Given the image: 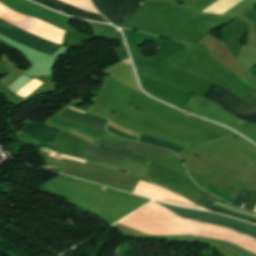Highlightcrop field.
<instances>
[{
  "instance_id": "crop-field-1",
  "label": "crop field",
  "mask_w": 256,
  "mask_h": 256,
  "mask_svg": "<svg viewBox=\"0 0 256 256\" xmlns=\"http://www.w3.org/2000/svg\"><path fill=\"white\" fill-rule=\"evenodd\" d=\"M205 98L228 110L239 118L256 124V109L250 107L227 90L212 84Z\"/></svg>"
},
{
  "instance_id": "crop-field-2",
  "label": "crop field",
  "mask_w": 256,
  "mask_h": 256,
  "mask_svg": "<svg viewBox=\"0 0 256 256\" xmlns=\"http://www.w3.org/2000/svg\"><path fill=\"white\" fill-rule=\"evenodd\" d=\"M0 33L32 49L43 52L50 56H52L54 52L60 47V45L37 38L2 20H0Z\"/></svg>"
},
{
  "instance_id": "crop-field-3",
  "label": "crop field",
  "mask_w": 256,
  "mask_h": 256,
  "mask_svg": "<svg viewBox=\"0 0 256 256\" xmlns=\"http://www.w3.org/2000/svg\"><path fill=\"white\" fill-rule=\"evenodd\" d=\"M124 144L129 145V146H133V147H138V148L150 150V151H153L155 153L162 154V155H165V156H168V155L171 154V152H169L165 149L158 148V147H153V146H148V145H144V144H140V143H136V142H132V141L125 140ZM125 145H121V144H117V143H113V142L101 139L100 148L105 149V150L110 151V152H115V153H119V154H124V155H129V156L144 159V157L147 153L146 150L133 148V147L125 146Z\"/></svg>"
},
{
  "instance_id": "crop-field-4",
  "label": "crop field",
  "mask_w": 256,
  "mask_h": 256,
  "mask_svg": "<svg viewBox=\"0 0 256 256\" xmlns=\"http://www.w3.org/2000/svg\"><path fill=\"white\" fill-rule=\"evenodd\" d=\"M32 1L38 4L50 7L58 12L72 15L74 17L109 23L105 19H103L104 17L102 18L101 15L83 11L81 9L75 8L73 6L65 4L58 0H32Z\"/></svg>"
},
{
  "instance_id": "crop-field-5",
  "label": "crop field",
  "mask_w": 256,
  "mask_h": 256,
  "mask_svg": "<svg viewBox=\"0 0 256 256\" xmlns=\"http://www.w3.org/2000/svg\"><path fill=\"white\" fill-rule=\"evenodd\" d=\"M217 200H218V198H216V197H214V196H212V195H210V194H208L207 192L204 191L194 203L198 204V205H200V206H202V207H204L208 210L211 207V205ZM216 203L221 204L225 207H228L229 209H233L237 212H241V213L256 216V213H252V212H248V211L236 208V207H234L232 205H229V204H227V203H225L221 200H218ZM209 210L212 211V212L226 214V215H229V216H232V217H235V218H238V219L245 220V221L256 224V221L253 220V219H250V218H246V217L239 216V215H236V214H233V213L222 211V210H219V209H216V208H213V207H211Z\"/></svg>"
},
{
  "instance_id": "crop-field-6",
  "label": "crop field",
  "mask_w": 256,
  "mask_h": 256,
  "mask_svg": "<svg viewBox=\"0 0 256 256\" xmlns=\"http://www.w3.org/2000/svg\"><path fill=\"white\" fill-rule=\"evenodd\" d=\"M70 108V107H69ZM67 108L63 113L62 115H65V116H68V117H72V118H75V119H78V120H81V121H84V122H87V123H90V124H94V125H97V126H100V127H103L105 126L107 120L105 119H102V118H99V117H96V116H93V115H90L86 112H84L83 114L79 113V112H76L74 110H71ZM60 115L58 118L62 119V120H66V121H69V122H72V123H76V124H79V125H82V126H86V127H89V128H92V129H95V130H98V131H104L103 128H100V127H97V126H93V125H90V124H87V123H84V122H81V121H78V120H75V119H71V118H68V117H65V116H62ZM57 118V119H58Z\"/></svg>"
},
{
  "instance_id": "crop-field-7",
  "label": "crop field",
  "mask_w": 256,
  "mask_h": 256,
  "mask_svg": "<svg viewBox=\"0 0 256 256\" xmlns=\"http://www.w3.org/2000/svg\"><path fill=\"white\" fill-rule=\"evenodd\" d=\"M20 131L32 137L40 143L54 141L58 130L39 123H32L23 127Z\"/></svg>"
},
{
  "instance_id": "crop-field-8",
  "label": "crop field",
  "mask_w": 256,
  "mask_h": 256,
  "mask_svg": "<svg viewBox=\"0 0 256 256\" xmlns=\"http://www.w3.org/2000/svg\"><path fill=\"white\" fill-rule=\"evenodd\" d=\"M83 153L86 155H90L96 159L111 162V163L122 165V166L124 164L125 157H126L124 155H119L115 153L106 152L101 149H97L88 143L85 144Z\"/></svg>"
},
{
  "instance_id": "crop-field-9",
  "label": "crop field",
  "mask_w": 256,
  "mask_h": 256,
  "mask_svg": "<svg viewBox=\"0 0 256 256\" xmlns=\"http://www.w3.org/2000/svg\"><path fill=\"white\" fill-rule=\"evenodd\" d=\"M249 194H250L249 191L240 190V192L237 194L236 198L232 202V205L241 208L242 204L244 203V201L246 200ZM245 203H246L245 206L243 205L244 209L253 211L256 206V193L251 192V194L249 195Z\"/></svg>"
},
{
  "instance_id": "crop-field-10",
  "label": "crop field",
  "mask_w": 256,
  "mask_h": 256,
  "mask_svg": "<svg viewBox=\"0 0 256 256\" xmlns=\"http://www.w3.org/2000/svg\"><path fill=\"white\" fill-rule=\"evenodd\" d=\"M139 141L147 143V144H151V145L167 148L169 150L174 151L176 154L182 150V148H179V147H177L175 145H172V144H170V143H168L166 141H163V140H160V139H155V138H153L151 136H147V135H143V134L141 135Z\"/></svg>"
}]
</instances>
